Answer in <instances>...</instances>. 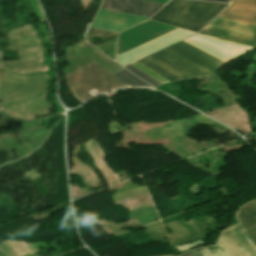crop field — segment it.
<instances>
[{
	"label": "crop field",
	"instance_id": "obj_1",
	"mask_svg": "<svg viewBox=\"0 0 256 256\" xmlns=\"http://www.w3.org/2000/svg\"><path fill=\"white\" fill-rule=\"evenodd\" d=\"M146 58L182 79L202 78L224 64L182 41Z\"/></svg>",
	"mask_w": 256,
	"mask_h": 256
},
{
	"label": "crop field",
	"instance_id": "obj_2",
	"mask_svg": "<svg viewBox=\"0 0 256 256\" xmlns=\"http://www.w3.org/2000/svg\"><path fill=\"white\" fill-rule=\"evenodd\" d=\"M227 5L190 0H172L151 20L198 32Z\"/></svg>",
	"mask_w": 256,
	"mask_h": 256
},
{
	"label": "crop field",
	"instance_id": "obj_3",
	"mask_svg": "<svg viewBox=\"0 0 256 256\" xmlns=\"http://www.w3.org/2000/svg\"><path fill=\"white\" fill-rule=\"evenodd\" d=\"M65 77L70 91L81 103L103 92L130 87L93 62Z\"/></svg>",
	"mask_w": 256,
	"mask_h": 256
},
{
	"label": "crop field",
	"instance_id": "obj_4",
	"mask_svg": "<svg viewBox=\"0 0 256 256\" xmlns=\"http://www.w3.org/2000/svg\"><path fill=\"white\" fill-rule=\"evenodd\" d=\"M200 33L254 47L256 27L216 17Z\"/></svg>",
	"mask_w": 256,
	"mask_h": 256
},
{
	"label": "crop field",
	"instance_id": "obj_5",
	"mask_svg": "<svg viewBox=\"0 0 256 256\" xmlns=\"http://www.w3.org/2000/svg\"><path fill=\"white\" fill-rule=\"evenodd\" d=\"M241 225L223 231L219 241L230 256H256V245Z\"/></svg>",
	"mask_w": 256,
	"mask_h": 256
},
{
	"label": "crop field",
	"instance_id": "obj_6",
	"mask_svg": "<svg viewBox=\"0 0 256 256\" xmlns=\"http://www.w3.org/2000/svg\"><path fill=\"white\" fill-rule=\"evenodd\" d=\"M147 19V17L100 8L94 22L89 24V27L118 33Z\"/></svg>",
	"mask_w": 256,
	"mask_h": 256
},
{
	"label": "crop field",
	"instance_id": "obj_7",
	"mask_svg": "<svg viewBox=\"0 0 256 256\" xmlns=\"http://www.w3.org/2000/svg\"><path fill=\"white\" fill-rule=\"evenodd\" d=\"M163 4L142 0H103L102 8L150 17ZM154 15V14H153Z\"/></svg>",
	"mask_w": 256,
	"mask_h": 256
},
{
	"label": "crop field",
	"instance_id": "obj_8",
	"mask_svg": "<svg viewBox=\"0 0 256 256\" xmlns=\"http://www.w3.org/2000/svg\"><path fill=\"white\" fill-rule=\"evenodd\" d=\"M218 17L256 26V0H232Z\"/></svg>",
	"mask_w": 256,
	"mask_h": 256
},
{
	"label": "crop field",
	"instance_id": "obj_9",
	"mask_svg": "<svg viewBox=\"0 0 256 256\" xmlns=\"http://www.w3.org/2000/svg\"><path fill=\"white\" fill-rule=\"evenodd\" d=\"M85 55L98 64L99 66L103 67L110 73H115L123 68H121L119 65H117L115 62L101 54L98 49L90 44H87L82 47Z\"/></svg>",
	"mask_w": 256,
	"mask_h": 256
},
{
	"label": "crop field",
	"instance_id": "obj_10",
	"mask_svg": "<svg viewBox=\"0 0 256 256\" xmlns=\"http://www.w3.org/2000/svg\"><path fill=\"white\" fill-rule=\"evenodd\" d=\"M237 217L256 242V206L253 202L244 206Z\"/></svg>",
	"mask_w": 256,
	"mask_h": 256
},
{
	"label": "crop field",
	"instance_id": "obj_11",
	"mask_svg": "<svg viewBox=\"0 0 256 256\" xmlns=\"http://www.w3.org/2000/svg\"><path fill=\"white\" fill-rule=\"evenodd\" d=\"M141 65L147 67L148 69L152 70L153 72L157 73L158 75L164 77L165 79L169 81H177L181 80L180 78L176 77L175 75L171 74L170 72L164 70L163 68L157 66L156 64L152 63L151 61L143 58L139 61H137Z\"/></svg>",
	"mask_w": 256,
	"mask_h": 256
},
{
	"label": "crop field",
	"instance_id": "obj_12",
	"mask_svg": "<svg viewBox=\"0 0 256 256\" xmlns=\"http://www.w3.org/2000/svg\"><path fill=\"white\" fill-rule=\"evenodd\" d=\"M116 77H118L119 79L123 80L124 82H126L127 84H129L132 87H148V88H152L149 85H147L146 83L142 82L141 80H139L138 78H136L135 76H133L132 74H130L129 72H127L126 70H121L115 74Z\"/></svg>",
	"mask_w": 256,
	"mask_h": 256
},
{
	"label": "crop field",
	"instance_id": "obj_13",
	"mask_svg": "<svg viewBox=\"0 0 256 256\" xmlns=\"http://www.w3.org/2000/svg\"><path fill=\"white\" fill-rule=\"evenodd\" d=\"M194 253L197 256H229L219 242L216 247L197 249Z\"/></svg>",
	"mask_w": 256,
	"mask_h": 256
},
{
	"label": "crop field",
	"instance_id": "obj_14",
	"mask_svg": "<svg viewBox=\"0 0 256 256\" xmlns=\"http://www.w3.org/2000/svg\"><path fill=\"white\" fill-rule=\"evenodd\" d=\"M125 68H127L128 70H130L131 72H133L134 74H136L137 76H139L140 78H142L154 87L162 84L158 80L154 79L153 77L149 76L148 74H146L145 72L141 71L140 69L136 68L131 64L125 66Z\"/></svg>",
	"mask_w": 256,
	"mask_h": 256
},
{
	"label": "crop field",
	"instance_id": "obj_15",
	"mask_svg": "<svg viewBox=\"0 0 256 256\" xmlns=\"http://www.w3.org/2000/svg\"><path fill=\"white\" fill-rule=\"evenodd\" d=\"M88 35H94V36H99L103 39L112 36V35H116V33H111V32H106V31H101V30H96V29H91L89 28L87 33Z\"/></svg>",
	"mask_w": 256,
	"mask_h": 256
},
{
	"label": "crop field",
	"instance_id": "obj_16",
	"mask_svg": "<svg viewBox=\"0 0 256 256\" xmlns=\"http://www.w3.org/2000/svg\"><path fill=\"white\" fill-rule=\"evenodd\" d=\"M133 65H135L136 67L140 68L141 70L145 71L146 73H148L149 75L153 76L154 78L158 79L159 81L165 83L168 82L167 80H165L164 78L158 76L157 74L153 73L152 71L148 70L147 68L141 66L140 64L134 62L132 63Z\"/></svg>",
	"mask_w": 256,
	"mask_h": 256
},
{
	"label": "crop field",
	"instance_id": "obj_17",
	"mask_svg": "<svg viewBox=\"0 0 256 256\" xmlns=\"http://www.w3.org/2000/svg\"><path fill=\"white\" fill-rule=\"evenodd\" d=\"M203 1H214V2L229 3V0H203Z\"/></svg>",
	"mask_w": 256,
	"mask_h": 256
},
{
	"label": "crop field",
	"instance_id": "obj_18",
	"mask_svg": "<svg viewBox=\"0 0 256 256\" xmlns=\"http://www.w3.org/2000/svg\"><path fill=\"white\" fill-rule=\"evenodd\" d=\"M180 256H195V255L192 253V251H190V252H188L186 254H182Z\"/></svg>",
	"mask_w": 256,
	"mask_h": 256
},
{
	"label": "crop field",
	"instance_id": "obj_19",
	"mask_svg": "<svg viewBox=\"0 0 256 256\" xmlns=\"http://www.w3.org/2000/svg\"><path fill=\"white\" fill-rule=\"evenodd\" d=\"M254 202V204L256 205V200L255 201H253Z\"/></svg>",
	"mask_w": 256,
	"mask_h": 256
}]
</instances>
